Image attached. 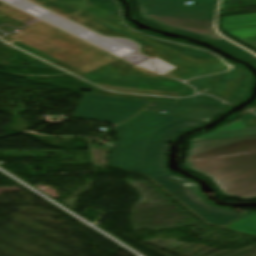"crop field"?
<instances>
[{"label":"crop field","mask_w":256,"mask_h":256,"mask_svg":"<svg viewBox=\"0 0 256 256\" xmlns=\"http://www.w3.org/2000/svg\"><path fill=\"white\" fill-rule=\"evenodd\" d=\"M227 228L256 235V211L239 219Z\"/></svg>","instance_id":"12"},{"label":"crop field","mask_w":256,"mask_h":256,"mask_svg":"<svg viewBox=\"0 0 256 256\" xmlns=\"http://www.w3.org/2000/svg\"><path fill=\"white\" fill-rule=\"evenodd\" d=\"M247 82L248 79L244 71L235 67L230 73L190 81L200 88L213 89L210 93L225 100L230 97L238 98L245 91Z\"/></svg>","instance_id":"7"},{"label":"crop field","mask_w":256,"mask_h":256,"mask_svg":"<svg viewBox=\"0 0 256 256\" xmlns=\"http://www.w3.org/2000/svg\"><path fill=\"white\" fill-rule=\"evenodd\" d=\"M64 17L120 19L118 13L104 3L58 0H30ZM100 1V0H91Z\"/></svg>","instance_id":"6"},{"label":"crop field","mask_w":256,"mask_h":256,"mask_svg":"<svg viewBox=\"0 0 256 256\" xmlns=\"http://www.w3.org/2000/svg\"><path fill=\"white\" fill-rule=\"evenodd\" d=\"M183 165L209 177L225 195L256 197V136L189 143Z\"/></svg>","instance_id":"2"},{"label":"crop field","mask_w":256,"mask_h":256,"mask_svg":"<svg viewBox=\"0 0 256 256\" xmlns=\"http://www.w3.org/2000/svg\"><path fill=\"white\" fill-rule=\"evenodd\" d=\"M148 24L220 44L256 64V58L220 39L212 30L217 0H137ZM192 1L187 6L184 3Z\"/></svg>","instance_id":"4"},{"label":"crop field","mask_w":256,"mask_h":256,"mask_svg":"<svg viewBox=\"0 0 256 256\" xmlns=\"http://www.w3.org/2000/svg\"><path fill=\"white\" fill-rule=\"evenodd\" d=\"M69 19L102 35L129 39L141 44V54L156 56L179 67L166 75L169 77L185 80L229 69L218 58L207 52L140 35L125 28L120 20Z\"/></svg>","instance_id":"3"},{"label":"crop field","mask_w":256,"mask_h":256,"mask_svg":"<svg viewBox=\"0 0 256 256\" xmlns=\"http://www.w3.org/2000/svg\"><path fill=\"white\" fill-rule=\"evenodd\" d=\"M201 124L145 111L117 128L120 144L111 162L114 168L151 176L203 219L224 226L241 215L210 206L200 198L197 185L171 175L164 167L172 137Z\"/></svg>","instance_id":"1"},{"label":"crop field","mask_w":256,"mask_h":256,"mask_svg":"<svg viewBox=\"0 0 256 256\" xmlns=\"http://www.w3.org/2000/svg\"><path fill=\"white\" fill-rule=\"evenodd\" d=\"M242 119L247 127L256 126V116L248 113L242 116Z\"/></svg>","instance_id":"13"},{"label":"crop field","mask_w":256,"mask_h":256,"mask_svg":"<svg viewBox=\"0 0 256 256\" xmlns=\"http://www.w3.org/2000/svg\"><path fill=\"white\" fill-rule=\"evenodd\" d=\"M146 110L157 111V112H167V115L188 118L198 121L209 122L221 115L224 111L222 110H214V109H206V108H198V107H190V106H182V105H174V104H166V103H158L152 102L147 107Z\"/></svg>","instance_id":"9"},{"label":"crop field","mask_w":256,"mask_h":256,"mask_svg":"<svg viewBox=\"0 0 256 256\" xmlns=\"http://www.w3.org/2000/svg\"><path fill=\"white\" fill-rule=\"evenodd\" d=\"M251 135H256V127L246 128L240 117L230 125L225 126L209 134H206L204 136H201L199 138L192 139L190 142L243 137V136H251Z\"/></svg>","instance_id":"10"},{"label":"crop field","mask_w":256,"mask_h":256,"mask_svg":"<svg viewBox=\"0 0 256 256\" xmlns=\"http://www.w3.org/2000/svg\"><path fill=\"white\" fill-rule=\"evenodd\" d=\"M147 102L84 95L72 118L119 123L143 109Z\"/></svg>","instance_id":"5"},{"label":"crop field","mask_w":256,"mask_h":256,"mask_svg":"<svg viewBox=\"0 0 256 256\" xmlns=\"http://www.w3.org/2000/svg\"><path fill=\"white\" fill-rule=\"evenodd\" d=\"M34 18L0 3V25L8 24L16 29L26 26L25 23Z\"/></svg>","instance_id":"11"},{"label":"crop field","mask_w":256,"mask_h":256,"mask_svg":"<svg viewBox=\"0 0 256 256\" xmlns=\"http://www.w3.org/2000/svg\"><path fill=\"white\" fill-rule=\"evenodd\" d=\"M221 25L231 36L256 48V13L222 17Z\"/></svg>","instance_id":"8"}]
</instances>
